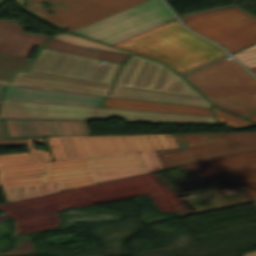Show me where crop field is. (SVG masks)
I'll list each match as a JSON object with an SVG mask.
<instances>
[{"mask_svg": "<svg viewBox=\"0 0 256 256\" xmlns=\"http://www.w3.org/2000/svg\"><path fill=\"white\" fill-rule=\"evenodd\" d=\"M181 149L157 152L164 168L256 149V132L176 135Z\"/></svg>", "mask_w": 256, "mask_h": 256, "instance_id": "crop-field-8", "label": "crop field"}, {"mask_svg": "<svg viewBox=\"0 0 256 256\" xmlns=\"http://www.w3.org/2000/svg\"><path fill=\"white\" fill-rule=\"evenodd\" d=\"M100 51L97 50H87V49H82L81 52L79 53L80 55L88 56L94 58Z\"/></svg>", "mask_w": 256, "mask_h": 256, "instance_id": "crop-field-27", "label": "crop field"}, {"mask_svg": "<svg viewBox=\"0 0 256 256\" xmlns=\"http://www.w3.org/2000/svg\"><path fill=\"white\" fill-rule=\"evenodd\" d=\"M41 1L54 7L44 10ZM143 1L145 0H27L25 9L63 30L72 31ZM47 11L54 14L49 15Z\"/></svg>", "mask_w": 256, "mask_h": 256, "instance_id": "crop-field-9", "label": "crop field"}, {"mask_svg": "<svg viewBox=\"0 0 256 256\" xmlns=\"http://www.w3.org/2000/svg\"><path fill=\"white\" fill-rule=\"evenodd\" d=\"M101 62L43 48L28 71L111 85L121 65Z\"/></svg>", "mask_w": 256, "mask_h": 256, "instance_id": "crop-field-10", "label": "crop field"}, {"mask_svg": "<svg viewBox=\"0 0 256 256\" xmlns=\"http://www.w3.org/2000/svg\"><path fill=\"white\" fill-rule=\"evenodd\" d=\"M0 38L14 42L42 46L49 37L40 34L33 35L22 31L21 24L7 19H0Z\"/></svg>", "mask_w": 256, "mask_h": 256, "instance_id": "crop-field-19", "label": "crop field"}, {"mask_svg": "<svg viewBox=\"0 0 256 256\" xmlns=\"http://www.w3.org/2000/svg\"><path fill=\"white\" fill-rule=\"evenodd\" d=\"M247 68L256 66V44L233 54Z\"/></svg>", "mask_w": 256, "mask_h": 256, "instance_id": "crop-field-23", "label": "crop field"}, {"mask_svg": "<svg viewBox=\"0 0 256 256\" xmlns=\"http://www.w3.org/2000/svg\"><path fill=\"white\" fill-rule=\"evenodd\" d=\"M89 159L97 183L162 169L154 151Z\"/></svg>", "mask_w": 256, "mask_h": 256, "instance_id": "crop-field-12", "label": "crop field"}, {"mask_svg": "<svg viewBox=\"0 0 256 256\" xmlns=\"http://www.w3.org/2000/svg\"><path fill=\"white\" fill-rule=\"evenodd\" d=\"M186 166L193 173L223 166L243 187L256 184V150Z\"/></svg>", "mask_w": 256, "mask_h": 256, "instance_id": "crop-field-16", "label": "crop field"}, {"mask_svg": "<svg viewBox=\"0 0 256 256\" xmlns=\"http://www.w3.org/2000/svg\"><path fill=\"white\" fill-rule=\"evenodd\" d=\"M110 117H123L125 122L219 124L214 117L206 116L9 100H3L0 109V118L91 121Z\"/></svg>", "mask_w": 256, "mask_h": 256, "instance_id": "crop-field-3", "label": "crop field"}, {"mask_svg": "<svg viewBox=\"0 0 256 256\" xmlns=\"http://www.w3.org/2000/svg\"><path fill=\"white\" fill-rule=\"evenodd\" d=\"M247 119L252 120L254 122H256V113H254L253 115H251L250 117H248Z\"/></svg>", "mask_w": 256, "mask_h": 256, "instance_id": "crop-field-30", "label": "crop field"}, {"mask_svg": "<svg viewBox=\"0 0 256 256\" xmlns=\"http://www.w3.org/2000/svg\"><path fill=\"white\" fill-rule=\"evenodd\" d=\"M53 38L65 41L67 43L73 44L75 46L79 47H85V48H93V49H100V50H108V51H115V52H123V53H128L124 52L115 48H111L102 44H98L71 34H57L53 36ZM131 54V53H128Z\"/></svg>", "mask_w": 256, "mask_h": 256, "instance_id": "crop-field-21", "label": "crop field"}, {"mask_svg": "<svg viewBox=\"0 0 256 256\" xmlns=\"http://www.w3.org/2000/svg\"><path fill=\"white\" fill-rule=\"evenodd\" d=\"M255 203V205H256V202H254Z\"/></svg>", "mask_w": 256, "mask_h": 256, "instance_id": "crop-field-35", "label": "crop field"}, {"mask_svg": "<svg viewBox=\"0 0 256 256\" xmlns=\"http://www.w3.org/2000/svg\"><path fill=\"white\" fill-rule=\"evenodd\" d=\"M103 107L107 108H121V109H137V110H150V111H162V112H175V113H187L197 115L213 116L210 109L179 106L171 104L151 103L142 101L122 100L107 98ZM215 112L219 122L226 124L235 129L247 128L255 123L237 117L233 114L225 112L215 107H211Z\"/></svg>", "mask_w": 256, "mask_h": 256, "instance_id": "crop-field-14", "label": "crop field"}, {"mask_svg": "<svg viewBox=\"0 0 256 256\" xmlns=\"http://www.w3.org/2000/svg\"><path fill=\"white\" fill-rule=\"evenodd\" d=\"M173 19L162 0H147L71 33L111 44Z\"/></svg>", "mask_w": 256, "mask_h": 256, "instance_id": "crop-field-7", "label": "crop field"}, {"mask_svg": "<svg viewBox=\"0 0 256 256\" xmlns=\"http://www.w3.org/2000/svg\"><path fill=\"white\" fill-rule=\"evenodd\" d=\"M17 57L19 56L0 53V67L12 69L8 70L0 68V83L7 84L9 79L12 77L16 70L26 71L27 67L31 62V59L20 57V61L17 59ZM1 59L10 60L13 62L4 61Z\"/></svg>", "mask_w": 256, "mask_h": 256, "instance_id": "crop-field-20", "label": "crop field"}, {"mask_svg": "<svg viewBox=\"0 0 256 256\" xmlns=\"http://www.w3.org/2000/svg\"><path fill=\"white\" fill-rule=\"evenodd\" d=\"M1 4V3H0Z\"/></svg>", "mask_w": 256, "mask_h": 256, "instance_id": "crop-field-36", "label": "crop field"}, {"mask_svg": "<svg viewBox=\"0 0 256 256\" xmlns=\"http://www.w3.org/2000/svg\"><path fill=\"white\" fill-rule=\"evenodd\" d=\"M0 138H6L1 120H0Z\"/></svg>", "mask_w": 256, "mask_h": 256, "instance_id": "crop-field-29", "label": "crop field"}, {"mask_svg": "<svg viewBox=\"0 0 256 256\" xmlns=\"http://www.w3.org/2000/svg\"><path fill=\"white\" fill-rule=\"evenodd\" d=\"M25 140L0 139V146L27 144L30 151L0 155V185L8 202L96 183L88 158L54 161L32 147L43 138Z\"/></svg>", "mask_w": 256, "mask_h": 256, "instance_id": "crop-field-1", "label": "crop field"}, {"mask_svg": "<svg viewBox=\"0 0 256 256\" xmlns=\"http://www.w3.org/2000/svg\"><path fill=\"white\" fill-rule=\"evenodd\" d=\"M109 96L188 105V106H197V107H205V108H209L211 106L206 100H202V99L182 97V96L169 95V94L156 93V92L143 91V90H136V89H130V88L117 87V86L113 87Z\"/></svg>", "mask_w": 256, "mask_h": 256, "instance_id": "crop-field-18", "label": "crop field"}, {"mask_svg": "<svg viewBox=\"0 0 256 256\" xmlns=\"http://www.w3.org/2000/svg\"><path fill=\"white\" fill-rule=\"evenodd\" d=\"M4 120L9 138L90 136L86 122L29 119Z\"/></svg>", "mask_w": 256, "mask_h": 256, "instance_id": "crop-field-13", "label": "crop field"}, {"mask_svg": "<svg viewBox=\"0 0 256 256\" xmlns=\"http://www.w3.org/2000/svg\"><path fill=\"white\" fill-rule=\"evenodd\" d=\"M113 85L204 99L181 77L157 62L132 56Z\"/></svg>", "mask_w": 256, "mask_h": 256, "instance_id": "crop-field-11", "label": "crop field"}, {"mask_svg": "<svg viewBox=\"0 0 256 256\" xmlns=\"http://www.w3.org/2000/svg\"><path fill=\"white\" fill-rule=\"evenodd\" d=\"M211 103L244 117L256 109V80L226 57L184 76Z\"/></svg>", "mask_w": 256, "mask_h": 256, "instance_id": "crop-field-4", "label": "crop field"}, {"mask_svg": "<svg viewBox=\"0 0 256 256\" xmlns=\"http://www.w3.org/2000/svg\"><path fill=\"white\" fill-rule=\"evenodd\" d=\"M128 56L129 55H124L120 53L101 51L95 58L122 64Z\"/></svg>", "mask_w": 256, "mask_h": 256, "instance_id": "crop-field-25", "label": "crop field"}, {"mask_svg": "<svg viewBox=\"0 0 256 256\" xmlns=\"http://www.w3.org/2000/svg\"><path fill=\"white\" fill-rule=\"evenodd\" d=\"M246 190L256 200V186L246 188Z\"/></svg>", "mask_w": 256, "mask_h": 256, "instance_id": "crop-field-28", "label": "crop field"}, {"mask_svg": "<svg viewBox=\"0 0 256 256\" xmlns=\"http://www.w3.org/2000/svg\"><path fill=\"white\" fill-rule=\"evenodd\" d=\"M106 97L7 86L2 99L101 107Z\"/></svg>", "mask_w": 256, "mask_h": 256, "instance_id": "crop-field-17", "label": "crop field"}, {"mask_svg": "<svg viewBox=\"0 0 256 256\" xmlns=\"http://www.w3.org/2000/svg\"><path fill=\"white\" fill-rule=\"evenodd\" d=\"M251 72H253L256 75V67L249 69Z\"/></svg>", "mask_w": 256, "mask_h": 256, "instance_id": "crop-field-33", "label": "crop field"}, {"mask_svg": "<svg viewBox=\"0 0 256 256\" xmlns=\"http://www.w3.org/2000/svg\"><path fill=\"white\" fill-rule=\"evenodd\" d=\"M44 47L51 48V49H56V50H61V51H65V52H70V53H75V54H78L79 51L81 50V48L70 46V45H67L65 43L53 40V39L49 40L45 44Z\"/></svg>", "mask_w": 256, "mask_h": 256, "instance_id": "crop-field-24", "label": "crop field"}, {"mask_svg": "<svg viewBox=\"0 0 256 256\" xmlns=\"http://www.w3.org/2000/svg\"><path fill=\"white\" fill-rule=\"evenodd\" d=\"M54 160L179 147L172 134L46 138Z\"/></svg>", "mask_w": 256, "mask_h": 256, "instance_id": "crop-field-5", "label": "crop field"}, {"mask_svg": "<svg viewBox=\"0 0 256 256\" xmlns=\"http://www.w3.org/2000/svg\"><path fill=\"white\" fill-rule=\"evenodd\" d=\"M0 1H4V0H0Z\"/></svg>", "mask_w": 256, "mask_h": 256, "instance_id": "crop-field-34", "label": "crop field"}, {"mask_svg": "<svg viewBox=\"0 0 256 256\" xmlns=\"http://www.w3.org/2000/svg\"><path fill=\"white\" fill-rule=\"evenodd\" d=\"M5 87H6V86H1V85H0V97H1V95H2V93H3V91H4V89H5Z\"/></svg>", "mask_w": 256, "mask_h": 256, "instance_id": "crop-field-32", "label": "crop field"}, {"mask_svg": "<svg viewBox=\"0 0 256 256\" xmlns=\"http://www.w3.org/2000/svg\"><path fill=\"white\" fill-rule=\"evenodd\" d=\"M186 26L231 53L256 43V18L233 7L182 16Z\"/></svg>", "mask_w": 256, "mask_h": 256, "instance_id": "crop-field-6", "label": "crop field"}, {"mask_svg": "<svg viewBox=\"0 0 256 256\" xmlns=\"http://www.w3.org/2000/svg\"><path fill=\"white\" fill-rule=\"evenodd\" d=\"M225 171L226 170L223 167H221V168H217V169H212V170H208V171H203V172L195 173V175L198 178H201V177L225 174L226 173Z\"/></svg>", "mask_w": 256, "mask_h": 256, "instance_id": "crop-field-26", "label": "crop field"}, {"mask_svg": "<svg viewBox=\"0 0 256 256\" xmlns=\"http://www.w3.org/2000/svg\"><path fill=\"white\" fill-rule=\"evenodd\" d=\"M112 46L159 60L181 74L226 54L185 30L177 19Z\"/></svg>", "mask_w": 256, "mask_h": 256, "instance_id": "crop-field-2", "label": "crop field"}, {"mask_svg": "<svg viewBox=\"0 0 256 256\" xmlns=\"http://www.w3.org/2000/svg\"><path fill=\"white\" fill-rule=\"evenodd\" d=\"M10 85L58 90L66 92L93 94L106 96L110 86L36 74V73H23L17 72Z\"/></svg>", "mask_w": 256, "mask_h": 256, "instance_id": "crop-field-15", "label": "crop field"}, {"mask_svg": "<svg viewBox=\"0 0 256 256\" xmlns=\"http://www.w3.org/2000/svg\"><path fill=\"white\" fill-rule=\"evenodd\" d=\"M33 46L0 39V52L27 57Z\"/></svg>", "mask_w": 256, "mask_h": 256, "instance_id": "crop-field-22", "label": "crop field"}, {"mask_svg": "<svg viewBox=\"0 0 256 256\" xmlns=\"http://www.w3.org/2000/svg\"><path fill=\"white\" fill-rule=\"evenodd\" d=\"M244 256H256V251L255 252H251V253H247Z\"/></svg>", "mask_w": 256, "mask_h": 256, "instance_id": "crop-field-31", "label": "crop field"}]
</instances>
